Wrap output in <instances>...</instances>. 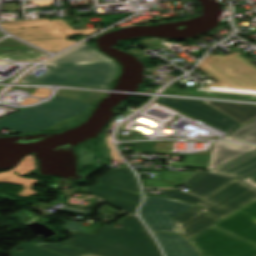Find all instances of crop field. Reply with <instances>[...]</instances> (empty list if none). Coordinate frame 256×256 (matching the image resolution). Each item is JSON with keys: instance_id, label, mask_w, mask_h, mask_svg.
<instances>
[{"instance_id": "crop-field-30", "label": "crop field", "mask_w": 256, "mask_h": 256, "mask_svg": "<svg viewBox=\"0 0 256 256\" xmlns=\"http://www.w3.org/2000/svg\"><path fill=\"white\" fill-rule=\"evenodd\" d=\"M160 99H167V98H160ZM167 100H181V99H167ZM182 101H195V100H182ZM197 102H202V101H197Z\"/></svg>"}, {"instance_id": "crop-field-3", "label": "crop field", "mask_w": 256, "mask_h": 256, "mask_svg": "<svg viewBox=\"0 0 256 256\" xmlns=\"http://www.w3.org/2000/svg\"><path fill=\"white\" fill-rule=\"evenodd\" d=\"M89 107L88 103L55 95L50 102L1 119L0 130L5 128L20 133L39 132L61 120L72 118Z\"/></svg>"}, {"instance_id": "crop-field-8", "label": "crop field", "mask_w": 256, "mask_h": 256, "mask_svg": "<svg viewBox=\"0 0 256 256\" xmlns=\"http://www.w3.org/2000/svg\"><path fill=\"white\" fill-rule=\"evenodd\" d=\"M213 227L256 243V199L231 212Z\"/></svg>"}, {"instance_id": "crop-field-11", "label": "crop field", "mask_w": 256, "mask_h": 256, "mask_svg": "<svg viewBox=\"0 0 256 256\" xmlns=\"http://www.w3.org/2000/svg\"><path fill=\"white\" fill-rule=\"evenodd\" d=\"M232 179L216 174L197 172L183 184L191 187L186 193L203 198Z\"/></svg>"}, {"instance_id": "crop-field-17", "label": "crop field", "mask_w": 256, "mask_h": 256, "mask_svg": "<svg viewBox=\"0 0 256 256\" xmlns=\"http://www.w3.org/2000/svg\"><path fill=\"white\" fill-rule=\"evenodd\" d=\"M228 117L237 121L240 124L249 123L252 119L256 118V105L234 104V103H221V102H208L204 101Z\"/></svg>"}, {"instance_id": "crop-field-19", "label": "crop field", "mask_w": 256, "mask_h": 256, "mask_svg": "<svg viewBox=\"0 0 256 256\" xmlns=\"http://www.w3.org/2000/svg\"><path fill=\"white\" fill-rule=\"evenodd\" d=\"M196 172L162 171L161 180L148 179L143 187H176Z\"/></svg>"}, {"instance_id": "crop-field-10", "label": "crop field", "mask_w": 256, "mask_h": 256, "mask_svg": "<svg viewBox=\"0 0 256 256\" xmlns=\"http://www.w3.org/2000/svg\"><path fill=\"white\" fill-rule=\"evenodd\" d=\"M199 208L200 207L194 205L174 218L178 229L187 240L218 220L196 211Z\"/></svg>"}, {"instance_id": "crop-field-21", "label": "crop field", "mask_w": 256, "mask_h": 256, "mask_svg": "<svg viewBox=\"0 0 256 256\" xmlns=\"http://www.w3.org/2000/svg\"><path fill=\"white\" fill-rule=\"evenodd\" d=\"M19 248H21L23 251L19 252L17 251ZM11 256H60L57 254H54L50 251H47L41 247H38L34 244L30 243H23L11 251Z\"/></svg>"}, {"instance_id": "crop-field-24", "label": "crop field", "mask_w": 256, "mask_h": 256, "mask_svg": "<svg viewBox=\"0 0 256 256\" xmlns=\"http://www.w3.org/2000/svg\"><path fill=\"white\" fill-rule=\"evenodd\" d=\"M171 167H199L207 168L209 157L186 156L184 163L170 162Z\"/></svg>"}, {"instance_id": "crop-field-5", "label": "crop field", "mask_w": 256, "mask_h": 256, "mask_svg": "<svg viewBox=\"0 0 256 256\" xmlns=\"http://www.w3.org/2000/svg\"><path fill=\"white\" fill-rule=\"evenodd\" d=\"M254 198L256 189L235 178L197 204L204 207L199 211L221 219Z\"/></svg>"}, {"instance_id": "crop-field-18", "label": "crop field", "mask_w": 256, "mask_h": 256, "mask_svg": "<svg viewBox=\"0 0 256 256\" xmlns=\"http://www.w3.org/2000/svg\"><path fill=\"white\" fill-rule=\"evenodd\" d=\"M193 117L228 133H231L238 127L242 126L205 103L199 108Z\"/></svg>"}, {"instance_id": "crop-field-9", "label": "crop field", "mask_w": 256, "mask_h": 256, "mask_svg": "<svg viewBox=\"0 0 256 256\" xmlns=\"http://www.w3.org/2000/svg\"><path fill=\"white\" fill-rule=\"evenodd\" d=\"M80 190L99 197L111 205L133 214H135V209L141 200L139 195L100 184L88 188H80Z\"/></svg>"}, {"instance_id": "crop-field-29", "label": "crop field", "mask_w": 256, "mask_h": 256, "mask_svg": "<svg viewBox=\"0 0 256 256\" xmlns=\"http://www.w3.org/2000/svg\"><path fill=\"white\" fill-rule=\"evenodd\" d=\"M244 182L248 183L252 187L256 188V173L243 179Z\"/></svg>"}, {"instance_id": "crop-field-12", "label": "crop field", "mask_w": 256, "mask_h": 256, "mask_svg": "<svg viewBox=\"0 0 256 256\" xmlns=\"http://www.w3.org/2000/svg\"><path fill=\"white\" fill-rule=\"evenodd\" d=\"M209 172L242 179L256 172V150L210 170Z\"/></svg>"}, {"instance_id": "crop-field-15", "label": "crop field", "mask_w": 256, "mask_h": 256, "mask_svg": "<svg viewBox=\"0 0 256 256\" xmlns=\"http://www.w3.org/2000/svg\"><path fill=\"white\" fill-rule=\"evenodd\" d=\"M96 181L140 194L137 179L131 170L110 168Z\"/></svg>"}, {"instance_id": "crop-field-4", "label": "crop field", "mask_w": 256, "mask_h": 256, "mask_svg": "<svg viewBox=\"0 0 256 256\" xmlns=\"http://www.w3.org/2000/svg\"><path fill=\"white\" fill-rule=\"evenodd\" d=\"M118 72L113 61L53 65L40 79L26 75L23 83H51L107 88Z\"/></svg>"}, {"instance_id": "crop-field-2", "label": "crop field", "mask_w": 256, "mask_h": 256, "mask_svg": "<svg viewBox=\"0 0 256 256\" xmlns=\"http://www.w3.org/2000/svg\"><path fill=\"white\" fill-rule=\"evenodd\" d=\"M236 51L229 55H208L197 69L217 82L200 90L256 94V66L240 57Z\"/></svg>"}, {"instance_id": "crop-field-22", "label": "crop field", "mask_w": 256, "mask_h": 256, "mask_svg": "<svg viewBox=\"0 0 256 256\" xmlns=\"http://www.w3.org/2000/svg\"><path fill=\"white\" fill-rule=\"evenodd\" d=\"M159 102L169 107H172L176 110H179L183 113H186L190 116H192L197 111V109L203 104V103H197V102H182V101H167V100H159Z\"/></svg>"}, {"instance_id": "crop-field-25", "label": "crop field", "mask_w": 256, "mask_h": 256, "mask_svg": "<svg viewBox=\"0 0 256 256\" xmlns=\"http://www.w3.org/2000/svg\"><path fill=\"white\" fill-rule=\"evenodd\" d=\"M164 196L181 199V200L193 203V204H195L196 202H198L201 199V198L186 194L184 192L177 191L175 189H164Z\"/></svg>"}, {"instance_id": "crop-field-6", "label": "crop field", "mask_w": 256, "mask_h": 256, "mask_svg": "<svg viewBox=\"0 0 256 256\" xmlns=\"http://www.w3.org/2000/svg\"><path fill=\"white\" fill-rule=\"evenodd\" d=\"M189 241L202 256H256V245L211 227Z\"/></svg>"}, {"instance_id": "crop-field-23", "label": "crop field", "mask_w": 256, "mask_h": 256, "mask_svg": "<svg viewBox=\"0 0 256 256\" xmlns=\"http://www.w3.org/2000/svg\"><path fill=\"white\" fill-rule=\"evenodd\" d=\"M103 93L94 92H81V91H70V90H59L57 95L93 103L96 101Z\"/></svg>"}, {"instance_id": "crop-field-31", "label": "crop field", "mask_w": 256, "mask_h": 256, "mask_svg": "<svg viewBox=\"0 0 256 256\" xmlns=\"http://www.w3.org/2000/svg\"><path fill=\"white\" fill-rule=\"evenodd\" d=\"M83 256H95V255H91V254H85V255H83Z\"/></svg>"}, {"instance_id": "crop-field-26", "label": "crop field", "mask_w": 256, "mask_h": 256, "mask_svg": "<svg viewBox=\"0 0 256 256\" xmlns=\"http://www.w3.org/2000/svg\"><path fill=\"white\" fill-rule=\"evenodd\" d=\"M65 222V227H66V231H78L81 228L82 223L80 222H70V221H66Z\"/></svg>"}, {"instance_id": "crop-field-13", "label": "crop field", "mask_w": 256, "mask_h": 256, "mask_svg": "<svg viewBox=\"0 0 256 256\" xmlns=\"http://www.w3.org/2000/svg\"><path fill=\"white\" fill-rule=\"evenodd\" d=\"M110 60L102 53L98 52L94 47L87 46L86 44L78 45L71 48L50 60L44 62V64L52 65L59 63H71V62H83V61H101Z\"/></svg>"}, {"instance_id": "crop-field-14", "label": "crop field", "mask_w": 256, "mask_h": 256, "mask_svg": "<svg viewBox=\"0 0 256 256\" xmlns=\"http://www.w3.org/2000/svg\"><path fill=\"white\" fill-rule=\"evenodd\" d=\"M254 149H256L255 146L214 142L210 155V164L207 170L213 169L229 160L246 154Z\"/></svg>"}, {"instance_id": "crop-field-28", "label": "crop field", "mask_w": 256, "mask_h": 256, "mask_svg": "<svg viewBox=\"0 0 256 256\" xmlns=\"http://www.w3.org/2000/svg\"><path fill=\"white\" fill-rule=\"evenodd\" d=\"M107 141H108V145H109V148H110V152H111V155H112V159L114 160H121V158L119 157V155L117 154V152L114 150L112 144H111V138L110 136H107Z\"/></svg>"}, {"instance_id": "crop-field-27", "label": "crop field", "mask_w": 256, "mask_h": 256, "mask_svg": "<svg viewBox=\"0 0 256 256\" xmlns=\"http://www.w3.org/2000/svg\"><path fill=\"white\" fill-rule=\"evenodd\" d=\"M98 205L95 208H93L91 212L78 211V210L68 209V208H63L59 212H68V213H74V214H80V215H84V216H89L98 207Z\"/></svg>"}, {"instance_id": "crop-field-20", "label": "crop field", "mask_w": 256, "mask_h": 256, "mask_svg": "<svg viewBox=\"0 0 256 256\" xmlns=\"http://www.w3.org/2000/svg\"><path fill=\"white\" fill-rule=\"evenodd\" d=\"M223 138L224 140L256 142V119Z\"/></svg>"}, {"instance_id": "crop-field-1", "label": "crop field", "mask_w": 256, "mask_h": 256, "mask_svg": "<svg viewBox=\"0 0 256 256\" xmlns=\"http://www.w3.org/2000/svg\"><path fill=\"white\" fill-rule=\"evenodd\" d=\"M120 223L124 228L106 225L95 234L70 232L73 238L67 243L34 244L63 256H162L137 216L127 215Z\"/></svg>"}, {"instance_id": "crop-field-7", "label": "crop field", "mask_w": 256, "mask_h": 256, "mask_svg": "<svg viewBox=\"0 0 256 256\" xmlns=\"http://www.w3.org/2000/svg\"><path fill=\"white\" fill-rule=\"evenodd\" d=\"M146 201L140 209V215L151 230L179 233L173 218L193 204L145 196Z\"/></svg>"}, {"instance_id": "crop-field-16", "label": "crop field", "mask_w": 256, "mask_h": 256, "mask_svg": "<svg viewBox=\"0 0 256 256\" xmlns=\"http://www.w3.org/2000/svg\"><path fill=\"white\" fill-rule=\"evenodd\" d=\"M166 256H199L193 247L179 235L154 233Z\"/></svg>"}]
</instances>
